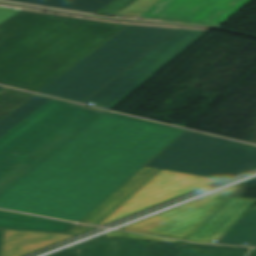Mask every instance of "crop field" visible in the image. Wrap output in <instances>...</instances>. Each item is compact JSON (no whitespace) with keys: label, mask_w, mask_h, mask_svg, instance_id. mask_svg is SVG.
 I'll return each instance as SVG.
<instances>
[{"label":"crop field","mask_w":256,"mask_h":256,"mask_svg":"<svg viewBox=\"0 0 256 256\" xmlns=\"http://www.w3.org/2000/svg\"><path fill=\"white\" fill-rule=\"evenodd\" d=\"M72 235L5 230L1 256H22Z\"/></svg>","instance_id":"11"},{"label":"crop field","mask_w":256,"mask_h":256,"mask_svg":"<svg viewBox=\"0 0 256 256\" xmlns=\"http://www.w3.org/2000/svg\"><path fill=\"white\" fill-rule=\"evenodd\" d=\"M185 130L107 112L0 199V208L80 222Z\"/></svg>","instance_id":"1"},{"label":"crop field","mask_w":256,"mask_h":256,"mask_svg":"<svg viewBox=\"0 0 256 256\" xmlns=\"http://www.w3.org/2000/svg\"><path fill=\"white\" fill-rule=\"evenodd\" d=\"M105 113L72 103L0 156V198Z\"/></svg>","instance_id":"4"},{"label":"crop field","mask_w":256,"mask_h":256,"mask_svg":"<svg viewBox=\"0 0 256 256\" xmlns=\"http://www.w3.org/2000/svg\"><path fill=\"white\" fill-rule=\"evenodd\" d=\"M69 104L71 103L56 99L51 100L25 121L0 138V155L38 129Z\"/></svg>","instance_id":"14"},{"label":"crop field","mask_w":256,"mask_h":256,"mask_svg":"<svg viewBox=\"0 0 256 256\" xmlns=\"http://www.w3.org/2000/svg\"><path fill=\"white\" fill-rule=\"evenodd\" d=\"M256 236V210H251L218 244L242 246Z\"/></svg>","instance_id":"18"},{"label":"crop field","mask_w":256,"mask_h":256,"mask_svg":"<svg viewBox=\"0 0 256 256\" xmlns=\"http://www.w3.org/2000/svg\"><path fill=\"white\" fill-rule=\"evenodd\" d=\"M240 187L241 186L236 185L227 188L127 226L122 228V230L186 240Z\"/></svg>","instance_id":"8"},{"label":"crop field","mask_w":256,"mask_h":256,"mask_svg":"<svg viewBox=\"0 0 256 256\" xmlns=\"http://www.w3.org/2000/svg\"><path fill=\"white\" fill-rule=\"evenodd\" d=\"M80 252L81 251H78V250H63L55 254H52L50 256H79Z\"/></svg>","instance_id":"26"},{"label":"crop field","mask_w":256,"mask_h":256,"mask_svg":"<svg viewBox=\"0 0 256 256\" xmlns=\"http://www.w3.org/2000/svg\"><path fill=\"white\" fill-rule=\"evenodd\" d=\"M148 244L139 240L100 238L68 249L82 250L81 256H143Z\"/></svg>","instance_id":"13"},{"label":"crop field","mask_w":256,"mask_h":256,"mask_svg":"<svg viewBox=\"0 0 256 256\" xmlns=\"http://www.w3.org/2000/svg\"><path fill=\"white\" fill-rule=\"evenodd\" d=\"M250 249L186 244L180 256H246Z\"/></svg>","instance_id":"19"},{"label":"crop field","mask_w":256,"mask_h":256,"mask_svg":"<svg viewBox=\"0 0 256 256\" xmlns=\"http://www.w3.org/2000/svg\"><path fill=\"white\" fill-rule=\"evenodd\" d=\"M249 256H256V249H252V251L249 254Z\"/></svg>","instance_id":"29"},{"label":"crop field","mask_w":256,"mask_h":256,"mask_svg":"<svg viewBox=\"0 0 256 256\" xmlns=\"http://www.w3.org/2000/svg\"><path fill=\"white\" fill-rule=\"evenodd\" d=\"M18 11V9L0 7V23Z\"/></svg>","instance_id":"24"},{"label":"crop field","mask_w":256,"mask_h":256,"mask_svg":"<svg viewBox=\"0 0 256 256\" xmlns=\"http://www.w3.org/2000/svg\"><path fill=\"white\" fill-rule=\"evenodd\" d=\"M52 98L34 95L11 114L0 121V137L25 120Z\"/></svg>","instance_id":"17"},{"label":"crop field","mask_w":256,"mask_h":256,"mask_svg":"<svg viewBox=\"0 0 256 256\" xmlns=\"http://www.w3.org/2000/svg\"><path fill=\"white\" fill-rule=\"evenodd\" d=\"M95 229L94 227H89L85 225H80L77 224L73 229H71L68 233H73V234H81L90 230Z\"/></svg>","instance_id":"25"},{"label":"crop field","mask_w":256,"mask_h":256,"mask_svg":"<svg viewBox=\"0 0 256 256\" xmlns=\"http://www.w3.org/2000/svg\"><path fill=\"white\" fill-rule=\"evenodd\" d=\"M134 1L135 0H114L99 12H97V14L114 16Z\"/></svg>","instance_id":"22"},{"label":"crop field","mask_w":256,"mask_h":256,"mask_svg":"<svg viewBox=\"0 0 256 256\" xmlns=\"http://www.w3.org/2000/svg\"><path fill=\"white\" fill-rule=\"evenodd\" d=\"M2 87L0 86V89H1Z\"/></svg>","instance_id":"31"},{"label":"crop field","mask_w":256,"mask_h":256,"mask_svg":"<svg viewBox=\"0 0 256 256\" xmlns=\"http://www.w3.org/2000/svg\"><path fill=\"white\" fill-rule=\"evenodd\" d=\"M253 209H256V206Z\"/></svg>","instance_id":"30"},{"label":"crop field","mask_w":256,"mask_h":256,"mask_svg":"<svg viewBox=\"0 0 256 256\" xmlns=\"http://www.w3.org/2000/svg\"><path fill=\"white\" fill-rule=\"evenodd\" d=\"M206 32L178 29L84 102L111 110Z\"/></svg>","instance_id":"6"},{"label":"crop field","mask_w":256,"mask_h":256,"mask_svg":"<svg viewBox=\"0 0 256 256\" xmlns=\"http://www.w3.org/2000/svg\"><path fill=\"white\" fill-rule=\"evenodd\" d=\"M3 233H4V230H0V254H1V247H2Z\"/></svg>","instance_id":"27"},{"label":"crop field","mask_w":256,"mask_h":256,"mask_svg":"<svg viewBox=\"0 0 256 256\" xmlns=\"http://www.w3.org/2000/svg\"><path fill=\"white\" fill-rule=\"evenodd\" d=\"M125 26L21 10L0 24V84L37 92Z\"/></svg>","instance_id":"2"},{"label":"crop field","mask_w":256,"mask_h":256,"mask_svg":"<svg viewBox=\"0 0 256 256\" xmlns=\"http://www.w3.org/2000/svg\"><path fill=\"white\" fill-rule=\"evenodd\" d=\"M33 7L92 15L112 0H0Z\"/></svg>","instance_id":"16"},{"label":"crop field","mask_w":256,"mask_h":256,"mask_svg":"<svg viewBox=\"0 0 256 256\" xmlns=\"http://www.w3.org/2000/svg\"><path fill=\"white\" fill-rule=\"evenodd\" d=\"M32 94L4 88L0 91V120L29 99Z\"/></svg>","instance_id":"20"},{"label":"crop field","mask_w":256,"mask_h":256,"mask_svg":"<svg viewBox=\"0 0 256 256\" xmlns=\"http://www.w3.org/2000/svg\"><path fill=\"white\" fill-rule=\"evenodd\" d=\"M256 204V199L230 197L187 240L217 244Z\"/></svg>","instance_id":"10"},{"label":"crop field","mask_w":256,"mask_h":256,"mask_svg":"<svg viewBox=\"0 0 256 256\" xmlns=\"http://www.w3.org/2000/svg\"><path fill=\"white\" fill-rule=\"evenodd\" d=\"M76 224L0 210V228L67 233Z\"/></svg>","instance_id":"15"},{"label":"crop field","mask_w":256,"mask_h":256,"mask_svg":"<svg viewBox=\"0 0 256 256\" xmlns=\"http://www.w3.org/2000/svg\"><path fill=\"white\" fill-rule=\"evenodd\" d=\"M185 244L150 241L144 256H179Z\"/></svg>","instance_id":"21"},{"label":"crop field","mask_w":256,"mask_h":256,"mask_svg":"<svg viewBox=\"0 0 256 256\" xmlns=\"http://www.w3.org/2000/svg\"><path fill=\"white\" fill-rule=\"evenodd\" d=\"M175 30L129 25L38 93L82 103Z\"/></svg>","instance_id":"3"},{"label":"crop field","mask_w":256,"mask_h":256,"mask_svg":"<svg viewBox=\"0 0 256 256\" xmlns=\"http://www.w3.org/2000/svg\"><path fill=\"white\" fill-rule=\"evenodd\" d=\"M249 1L251 0H136L116 16L218 26Z\"/></svg>","instance_id":"7"},{"label":"crop field","mask_w":256,"mask_h":256,"mask_svg":"<svg viewBox=\"0 0 256 256\" xmlns=\"http://www.w3.org/2000/svg\"><path fill=\"white\" fill-rule=\"evenodd\" d=\"M222 180L161 170L99 226L106 225Z\"/></svg>","instance_id":"9"},{"label":"crop field","mask_w":256,"mask_h":256,"mask_svg":"<svg viewBox=\"0 0 256 256\" xmlns=\"http://www.w3.org/2000/svg\"><path fill=\"white\" fill-rule=\"evenodd\" d=\"M159 171L143 167L81 222L98 225Z\"/></svg>","instance_id":"12"},{"label":"crop field","mask_w":256,"mask_h":256,"mask_svg":"<svg viewBox=\"0 0 256 256\" xmlns=\"http://www.w3.org/2000/svg\"><path fill=\"white\" fill-rule=\"evenodd\" d=\"M256 247V237L247 245Z\"/></svg>","instance_id":"28"},{"label":"crop field","mask_w":256,"mask_h":256,"mask_svg":"<svg viewBox=\"0 0 256 256\" xmlns=\"http://www.w3.org/2000/svg\"><path fill=\"white\" fill-rule=\"evenodd\" d=\"M145 166L226 180L256 167V147L186 130Z\"/></svg>","instance_id":"5"},{"label":"crop field","mask_w":256,"mask_h":256,"mask_svg":"<svg viewBox=\"0 0 256 256\" xmlns=\"http://www.w3.org/2000/svg\"><path fill=\"white\" fill-rule=\"evenodd\" d=\"M103 236L132 238V239H146V240L176 241V240L156 238V237H150V236H144V235H138V234H132V233H125V232H119V231H114V232H111V233L103 235ZM178 242H182V241H178Z\"/></svg>","instance_id":"23"}]
</instances>
